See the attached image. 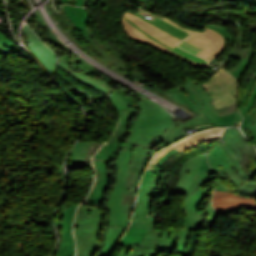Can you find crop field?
Wrapping results in <instances>:
<instances>
[{
    "label": "crop field",
    "mask_w": 256,
    "mask_h": 256,
    "mask_svg": "<svg viewBox=\"0 0 256 256\" xmlns=\"http://www.w3.org/2000/svg\"><path fill=\"white\" fill-rule=\"evenodd\" d=\"M120 146L121 143L108 142V146L104 145L95 155L96 161L93 162L96 170V184L87 201L83 204L99 206L109 181V163Z\"/></svg>",
    "instance_id": "8"
},
{
    "label": "crop field",
    "mask_w": 256,
    "mask_h": 256,
    "mask_svg": "<svg viewBox=\"0 0 256 256\" xmlns=\"http://www.w3.org/2000/svg\"><path fill=\"white\" fill-rule=\"evenodd\" d=\"M255 173H256V167L254 169H252Z\"/></svg>",
    "instance_id": "44"
},
{
    "label": "crop field",
    "mask_w": 256,
    "mask_h": 256,
    "mask_svg": "<svg viewBox=\"0 0 256 256\" xmlns=\"http://www.w3.org/2000/svg\"><path fill=\"white\" fill-rule=\"evenodd\" d=\"M116 85V84H115ZM118 86V85H117ZM119 87V86H118ZM120 88V87H119ZM126 92H128V91H126Z\"/></svg>",
    "instance_id": "46"
},
{
    "label": "crop field",
    "mask_w": 256,
    "mask_h": 256,
    "mask_svg": "<svg viewBox=\"0 0 256 256\" xmlns=\"http://www.w3.org/2000/svg\"><path fill=\"white\" fill-rule=\"evenodd\" d=\"M176 152H178V151L174 149V150L170 151L169 153H167L166 155H164V156L161 158V160L157 163V165H156V167L154 168L153 171H157L158 168H159V166L161 165V163L164 162L169 156H171L172 154H174V153H176Z\"/></svg>",
    "instance_id": "38"
},
{
    "label": "crop field",
    "mask_w": 256,
    "mask_h": 256,
    "mask_svg": "<svg viewBox=\"0 0 256 256\" xmlns=\"http://www.w3.org/2000/svg\"><path fill=\"white\" fill-rule=\"evenodd\" d=\"M178 46H180V47H182V48H184V49H186L190 52H193L195 54H197L201 50V48H199V47H197V46H195V45H193V44H191V43H189L185 40H183L181 43H179Z\"/></svg>",
    "instance_id": "35"
},
{
    "label": "crop field",
    "mask_w": 256,
    "mask_h": 256,
    "mask_svg": "<svg viewBox=\"0 0 256 256\" xmlns=\"http://www.w3.org/2000/svg\"><path fill=\"white\" fill-rule=\"evenodd\" d=\"M254 138H255V140H256V136H255Z\"/></svg>",
    "instance_id": "47"
},
{
    "label": "crop field",
    "mask_w": 256,
    "mask_h": 256,
    "mask_svg": "<svg viewBox=\"0 0 256 256\" xmlns=\"http://www.w3.org/2000/svg\"><path fill=\"white\" fill-rule=\"evenodd\" d=\"M132 2V1H131ZM135 3V2H134ZM138 4V3H137ZM140 5V4H139ZM142 6V5H141ZM144 7V6H143ZM146 8V7H145ZM148 9V8H147ZM151 10V9H150Z\"/></svg>",
    "instance_id": "45"
},
{
    "label": "crop field",
    "mask_w": 256,
    "mask_h": 256,
    "mask_svg": "<svg viewBox=\"0 0 256 256\" xmlns=\"http://www.w3.org/2000/svg\"><path fill=\"white\" fill-rule=\"evenodd\" d=\"M205 27L209 28V29H212L214 31H217L219 32L225 39V44L223 46V48L221 49V51L214 57L212 58L210 62H212L214 59H216L218 57V55L222 52V50L225 48V45L228 41L232 40L233 37L232 35L230 34V32L228 30H226L225 28L221 27V26H217V25H206Z\"/></svg>",
    "instance_id": "32"
},
{
    "label": "crop field",
    "mask_w": 256,
    "mask_h": 256,
    "mask_svg": "<svg viewBox=\"0 0 256 256\" xmlns=\"http://www.w3.org/2000/svg\"><path fill=\"white\" fill-rule=\"evenodd\" d=\"M204 214H208V228H211V226L213 225L218 213H216L211 205V201L209 203V205L207 206L206 210L204 211Z\"/></svg>",
    "instance_id": "33"
},
{
    "label": "crop field",
    "mask_w": 256,
    "mask_h": 256,
    "mask_svg": "<svg viewBox=\"0 0 256 256\" xmlns=\"http://www.w3.org/2000/svg\"><path fill=\"white\" fill-rule=\"evenodd\" d=\"M59 65L62 66L65 70H67L70 74L75 76L80 81L94 87L96 90H98L102 95H108L113 90L108 86V83L106 81H97L91 77L85 76L83 74H80L78 72L70 70L68 65L66 64V61L60 58Z\"/></svg>",
    "instance_id": "22"
},
{
    "label": "crop field",
    "mask_w": 256,
    "mask_h": 256,
    "mask_svg": "<svg viewBox=\"0 0 256 256\" xmlns=\"http://www.w3.org/2000/svg\"><path fill=\"white\" fill-rule=\"evenodd\" d=\"M100 145V142H92V144H91V146H90V148H89V150H88V152H87V155H86V157H85V160L87 161V160H89V157H92L91 156V153L94 151V149H96L95 147L96 146H99ZM100 147V146H99ZM84 166H88V167H90L89 165H88V162L87 163H84Z\"/></svg>",
    "instance_id": "37"
},
{
    "label": "crop field",
    "mask_w": 256,
    "mask_h": 256,
    "mask_svg": "<svg viewBox=\"0 0 256 256\" xmlns=\"http://www.w3.org/2000/svg\"><path fill=\"white\" fill-rule=\"evenodd\" d=\"M91 142H78L71 153V168L83 167L85 154Z\"/></svg>",
    "instance_id": "26"
},
{
    "label": "crop field",
    "mask_w": 256,
    "mask_h": 256,
    "mask_svg": "<svg viewBox=\"0 0 256 256\" xmlns=\"http://www.w3.org/2000/svg\"><path fill=\"white\" fill-rule=\"evenodd\" d=\"M77 5H83V0H76Z\"/></svg>",
    "instance_id": "42"
},
{
    "label": "crop field",
    "mask_w": 256,
    "mask_h": 256,
    "mask_svg": "<svg viewBox=\"0 0 256 256\" xmlns=\"http://www.w3.org/2000/svg\"><path fill=\"white\" fill-rule=\"evenodd\" d=\"M122 26H123L124 31L126 32V35H127L129 38H131V39H133V40H136V41L146 42V43H148V44H150V45H152V46H154V47H156V48H158V49H160V50L169 52V53H171V54H173V55H175V56H177V57H179V58H181V59H183V60H185V61H187V62H190V61L184 59L183 57H181V56H179V55H177V54H174V53H172V52L166 50L165 48L161 47V46L158 45L157 43L153 42L152 40H150L149 38H147L146 36H144L143 34H141L138 30H136L131 24H129V23H128L126 20H124L123 18H122ZM190 63H192V62H190ZM192 64H195V65L201 66V67H207V66H202V65H200V64H196V63H192Z\"/></svg>",
    "instance_id": "23"
},
{
    "label": "crop field",
    "mask_w": 256,
    "mask_h": 256,
    "mask_svg": "<svg viewBox=\"0 0 256 256\" xmlns=\"http://www.w3.org/2000/svg\"><path fill=\"white\" fill-rule=\"evenodd\" d=\"M90 54L93 55L94 57H96L97 59H99L100 61L104 62L108 66L120 71L123 74L125 72H127V66L125 63H123L124 61L122 62V59H119L118 57L114 56L113 54L106 55L104 53V56H105L104 58H99L98 55L93 52H91Z\"/></svg>",
    "instance_id": "29"
},
{
    "label": "crop field",
    "mask_w": 256,
    "mask_h": 256,
    "mask_svg": "<svg viewBox=\"0 0 256 256\" xmlns=\"http://www.w3.org/2000/svg\"><path fill=\"white\" fill-rule=\"evenodd\" d=\"M223 138L235 151L238 159H243L239 147L246 146V150L248 151L250 145L243 138L240 132L236 128H228L226 131H224Z\"/></svg>",
    "instance_id": "24"
},
{
    "label": "crop field",
    "mask_w": 256,
    "mask_h": 256,
    "mask_svg": "<svg viewBox=\"0 0 256 256\" xmlns=\"http://www.w3.org/2000/svg\"><path fill=\"white\" fill-rule=\"evenodd\" d=\"M161 94L169 95L172 99L176 100L178 103L191 108L192 110L196 111L200 115L183 123V124L180 122H174L170 126L168 131L162 137L157 136V138L153 142H151L149 145L125 141L124 145H123L124 149L132 151L135 144L142 145L145 147H150L158 142L165 141L192 126L201 125V124H210L207 121V119L204 117V115L201 113L200 109L193 103V101L191 99H189L181 91V89L179 87H175V88H173L165 93H161Z\"/></svg>",
    "instance_id": "7"
},
{
    "label": "crop field",
    "mask_w": 256,
    "mask_h": 256,
    "mask_svg": "<svg viewBox=\"0 0 256 256\" xmlns=\"http://www.w3.org/2000/svg\"><path fill=\"white\" fill-rule=\"evenodd\" d=\"M215 190L229 191L237 195L256 194V183L244 181L235 166L217 172Z\"/></svg>",
    "instance_id": "12"
},
{
    "label": "crop field",
    "mask_w": 256,
    "mask_h": 256,
    "mask_svg": "<svg viewBox=\"0 0 256 256\" xmlns=\"http://www.w3.org/2000/svg\"><path fill=\"white\" fill-rule=\"evenodd\" d=\"M0 42L11 52L14 53L16 50L20 49L15 46L7 37L0 33Z\"/></svg>",
    "instance_id": "34"
},
{
    "label": "crop field",
    "mask_w": 256,
    "mask_h": 256,
    "mask_svg": "<svg viewBox=\"0 0 256 256\" xmlns=\"http://www.w3.org/2000/svg\"><path fill=\"white\" fill-rule=\"evenodd\" d=\"M166 20L179 26V27H182L167 17H166ZM182 28H184V27H182ZM184 29H186V28H184ZM186 30L191 32V36L185 40L203 48L198 53V55L208 59V61L220 51V49L222 48V46L224 44V40H223L222 36L214 31L209 30V29L204 28L203 32L190 30V29H186Z\"/></svg>",
    "instance_id": "13"
},
{
    "label": "crop field",
    "mask_w": 256,
    "mask_h": 256,
    "mask_svg": "<svg viewBox=\"0 0 256 256\" xmlns=\"http://www.w3.org/2000/svg\"><path fill=\"white\" fill-rule=\"evenodd\" d=\"M242 1L256 5V0H242Z\"/></svg>",
    "instance_id": "41"
},
{
    "label": "crop field",
    "mask_w": 256,
    "mask_h": 256,
    "mask_svg": "<svg viewBox=\"0 0 256 256\" xmlns=\"http://www.w3.org/2000/svg\"><path fill=\"white\" fill-rule=\"evenodd\" d=\"M127 228V227H126ZM126 228L109 227L105 237V247L99 256H106L115 243L119 240Z\"/></svg>",
    "instance_id": "27"
},
{
    "label": "crop field",
    "mask_w": 256,
    "mask_h": 256,
    "mask_svg": "<svg viewBox=\"0 0 256 256\" xmlns=\"http://www.w3.org/2000/svg\"><path fill=\"white\" fill-rule=\"evenodd\" d=\"M210 93L214 101H212L215 109L237 102L236 80L230 76L224 67L214 74L209 82L201 83Z\"/></svg>",
    "instance_id": "9"
},
{
    "label": "crop field",
    "mask_w": 256,
    "mask_h": 256,
    "mask_svg": "<svg viewBox=\"0 0 256 256\" xmlns=\"http://www.w3.org/2000/svg\"><path fill=\"white\" fill-rule=\"evenodd\" d=\"M236 109H238L237 103L234 105L228 106V107L217 109V112H218L219 116H221V115L229 114V113L235 111Z\"/></svg>",
    "instance_id": "36"
},
{
    "label": "crop field",
    "mask_w": 256,
    "mask_h": 256,
    "mask_svg": "<svg viewBox=\"0 0 256 256\" xmlns=\"http://www.w3.org/2000/svg\"><path fill=\"white\" fill-rule=\"evenodd\" d=\"M123 18H125L128 22H130L136 29H138L141 33H143L144 35H146L147 37H149L150 39L154 40L155 42H157L158 44L162 45L163 47L183 56L184 58L192 61V62H197V63H201L203 65H207V61L201 59V58H198L178 47H175L174 49L169 47L168 45H166L165 43L157 40L156 38L152 37L151 35H149L148 33L144 32L143 30L139 29L136 25H134L125 15H123Z\"/></svg>",
    "instance_id": "25"
},
{
    "label": "crop field",
    "mask_w": 256,
    "mask_h": 256,
    "mask_svg": "<svg viewBox=\"0 0 256 256\" xmlns=\"http://www.w3.org/2000/svg\"><path fill=\"white\" fill-rule=\"evenodd\" d=\"M141 113L134 121L129 141L149 144L157 135L162 136L173 123L171 116L148 99L139 103Z\"/></svg>",
    "instance_id": "4"
},
{
    "label": "crop field",
    "mask_w": 256,
    "mask_h": 256,
    "mask_svg": "<svg viewBox=\"0 0 256 256\" xmlns=\"http://www.w3.org/2000/svg\"><path fill=\"white\" fill-rule=\"evenodd\" d=\"M213 206L219 213L233 208H248L256 210V200L237 196L229 192H214Z\"/></svg>",
    "instance_id": "17"
},
{
    "label": "crop field",
    "mask_w": 256,
    "mask_h": 256,
    "mask_svg": "<svg viewBox=\"0 0 256 256\" xmlns=\"http://www.w3.org/2000/svg\"><path fill=\"white\" fill-rule=\"evenodd\" d=\"M180 170L182 176L175 193L186 194L185 211H196V207L209 191V188L212 187L203 189L202 185L212 179L209 175L214 172L208 166L206 155L203 153L188 158Z\"/></svg>",
    "instance_id": "3"
},
{
    "label": "crop field",
    "mask_w": 256,
    "mask_h": 256,
    "mask_svg": "<svg viewBox=\"0 0 256 256\" xmlns=\"http://www.w3.org/2000/svg\"><path fill=\"white\" fill-rule=\"evenodd\" d=\"M61 3H69L70 4V0H62Z\"/></svg>",
    "instance_id": "43"
},
{
    "label": "crop field",
    "mask_w": 256,
    "mask_h": 256,
    "mask_svg": "<svg viewBox=\"0 0 256 256\" xmlns=\"http://www.w3.org/2000/svg\"><path fill=\"white\" fill-rule=\"evenodd\" d=\"M125 15L134 23L136 24L139 28L143 29L144 31L148 32L149 34H151L152 36L156 37L157 39L165 42L166 44L170 45L171 47H175L176 43L181 41L167 33H165L164 31L148 24L147 22L143 21L142 19L131 15L130 13H128L127 11H125Z\"/></svg>",
    "instance_id": "19"
},
{
    "label": "crop field",
    "mask_w": 256,
    "mask_h": 256,
    "mask_svg": "<svg viewBox=\"0 0 256 256\" xmlns=\"http://www.w3.org/2000/svg\"><path fill=\"white\" fill-rule=\"evenodd\" d=\"M255 98H256V73L249 84L247 93L241 104L242 107H241L240 113L244 118L247 116L248 111L251 108Z\"/></svg>",
    "instance_id": "28"
},
{
    "label": "crop field",
    "mask_w": 256,
    "mask_h": 256,
    "mask_svg": "<svg viewBox=\"0 0 256 256\" xmlns=\"http://www.w3.org/2000/svg\"><path fill=\"white\" fill-rule=\"evenodd\" d=\"M211 127L212 126H201L196 129L200 131ZM185 136H187V134L182 133L163 142L153 151L135 145L133 152L122 149L118 153L117 159L115 160V165L118 168L117 177L105 206L110 216L107 220L108 226H127L133 208L138 179L150 157L157 150Z\"/></svg>",
    "instance_id": "2"
},
{
    "label": "crop field",
    "mask_w": 256,
    "mask_h": 256,
    "mask_svg": "<svg viewBox=\"0 0 256 256\" xmlns=\"http://www.w3.org/2000/svg\"><path fill=\"white\" fill-rule=\"evenodd\" d=\"M58 16L59 18L57 20L54 17L55 20L65 30L71 39H75L72 36L73 34L70 33L72 30L71 27L76 26L84 34L85 38L90 44L97 45L100 43L88 27L89 14L84 7H71L65 4Z\"/></svg>",
    "instance_id": "10"
},
{
    "label": "crop field",
    "mask_w": 256,
    "mask_h": 256,
    "mask_svg": "<svg viewBox=\"0 0 256 256\" xmlns=\"http://www.w3.org/2000/svg\"><path fill=\"white\" fill-rule=\"evenodd\" d=\"M162 174L146 171L140 185L137 205L131 225L121 243L126 252L135 254L148 253L145 256H158L160 251L172 252L178 245L177 253L185 255L191 230H197L202 225L203 213L185 212V223L182 231L165 229V232L155 231V211L150 212V194Z\"/></svg>",
    "instance_id": "1"
},
{
    "label": "crop field",
    "mask_w": 256,
    "mask_h": 256,
    "mask_svg": "<svg viewBox=\"0 0 256 256\" xmlns=\"http://www.w3.org/2000/svg\"><path fill=\"white\" fill-rule=\"evenodd\" d=\"M225 128H221V129H212V130H208V131H203V132H199L193 136H190L188 138H185L181 141H179L178 143L161 150L160 152L157 153V155L153 158V160L151 161V163L148 166V170L152 171L153 168L155 167L156 163L160 160V158L167 153L168 151H170L173 148L178 149L179 151H183L186 150L190 147H193L201 142L207 141L209 139H214V138H219L222 135V132Z\"/></svg>",
    "instance_id": "15"
},
{
    "label": "crop field",
    "mask_w": 256,
    "mask_h": 256,
    "mask_svg": "<svg viewBox=\"0 0 256 256\" xmlns=\"http://www.w3.org/2000/svg\"><path fill=\"white\" fill-rule=\"evenodd\" d=\"M111 94L112 96L108 95L106 97L117 111L127 109V108L130 109V110L118 112L120 115V123L116 129V132H119L121 134L114 132L113 135L116 137H111L109 141L119 142L120 138L125 135V131L127 129L126 128L127 122L133 117L135 110H134L133 101L131 98L124 96L117 91H114Z\"/></svg>",
    "instance_id": "14"
},
{
    "label": "crop field",
    "mask_w": 256,
    "mask_h": 256,
    "mask_svg": "<svg viewBox=\"0 0 256 256\" xmlns=\"http://www.w3.org/2000/svg\"><path fill=\"white\" fill-rule=\"evenodd\" d=\"M77 204L66 202L56 216V226L60 233L61 243L55 256H73L74 241L71 223Z\"/></svg>",
    "instance_id": "11"
},
{
    "label": "crop field",
    "mask_w": 256,
    "mask_h": 256,
    "mask_svg": "<svg viewBox=\"0 0 256 256\" xmlns=\"http://www.w3.org/2000/svg\"><path fill=\"white\" fill-rule=\"evenodd\" d=\"M125 5L132 6L134 8L139 9L140 12H138L136 14V16L144 19L148 23L164 30L165 32H167V33H169V34H171V35H173V36H175V37H177L181 40L188 37V35H189L188 32H185V31L171 25L170 23L164 21L163 19L159 18L158 16L152 14L149 11H146V10H144V9L134 5V4H131L129 2H125Z\"/></svg>",
    "instance_id": "18"
},
{
    "label": "crop field",
    "mask_w": 256,
    "mask_h": 256,
    "mask_svg": "<svg viewBox=\"0 0 256 256\" xmlns=\"http://www.w3.org/2000/svg\"><path fill=\"white\" fill-rule=\"evenodd\" d=\"M144 255H145V254H144ZM144 255H130V254L124 253L123 250H122V252L119 254V256H144Z\"/></svg>",
    "instance_id": "40"
},
{
    "label": "crop field",
    "mask_w": 256,
    "mask_h": 256,
    "mask_svg": "<svg viewBox=\"0 0 256 256\" xmlns=\"http://www.w3.org/2000/svg\"><path fill=\"white\" fill-rule=\"evenodd\" d=\"M23 31L27 34L28 42L31 43L29 47L33 54L38 58L42 65L45 66L48 73L52 75L55 70L57 56L38 39L27 25H25Z\"/></svg>",
    "instance_id": "16"
},
{
    "label": "crop field",
    "mask_w": 256,
    "mask_h": 256,
    "mask_svg": "<svg viewBox=\"0 0 256 256\" xmlns=\"http://www.w3.org/2000/svg\"><path fill=\"white\" fill-rule=\"evenodd\" d=\"M250 128L253 136L256 135V109L253 108L251 113L244 119L241 129L244 130L246 128Z\"/></svg>",
    "instance_id": "31"
},
{
    "label": "crop field",
    "mask_w": 256,
    "mask_h": 256,
    "mask_svg": "<svg viewBox=\"0 0 256 256\" xmlns=\"http://www.w3.org/2000/svg\"><path fill=\"white\" fill-rule=\"evenodd\" d=\"M33 16L37 19L39 25L42 27V29L44 30L43 26H45V23L43 22L42 18L40 17V15H34ZM45 31V30H44ZM46 33V31H45ZM47 34V33H46ZM47 39L50 40V42L58 47H60L63 50H66L69 52V54H71L72 56V60H73V67L82 71H86L92 75L97 76V71H94L92 66L88 65L87 63H85L84 61H82L80 58H78L75 54H73L68 48H66L53 34L52 32L49 30V33L47 34ZM99 77V76H97Z\"/></svg>",
    "instance_id": "20"
},
{
    "label": "crop field",
    "mask_w": 256,
    "mask_h": 256,
    "mask_svg": "<svg viewBox=\"0 0 256 256\" xmlns=\"http://www.w3.org/2000/svg\"><path fill=\"white\" fill-rule=\"evenodd\" d=\"M208 161L215 172L233 166L230 158L218 143L210 150L208 154Z\"/></svg>",
    "instance_id": "21"
},
{
    "label": "crop field",
    "mask_w": 256,
    "mask_h": 256,
    "mask_svg": "<svg viewBox=\"0 0 256 256\" xmlns=\"http://www.w3.org/2000/svg\"><path fill=\"white\" fill-rule=\"evenodd\" d=\"M252 54H253V42H251V48H250V51H249L246 61L241 60V62L239 64H237L236 66H234L233 68H231L228 71L232 75H234L237 79H240V77L242 76V74L244 73V71L246 70V68L248 67V65L250 63Z\"/></svg>",
    "instance_id": "30"
},
{
    "label": "crop field",
    "mask_w": 256,
    "mask_h": 256,
    "mask_svg": "<svg viewBox=\"0 0 256 256\" xmlns=\"http://www.w3.org/2000/svg\"><path fill=\"white\" fill-rule=\"evenodd\" d=\"M186 84L179 86L185 94L190 97L194 103L202 110L205 117L213 125L226 126L234 125L236 121H241L242 117L238 111L226 116L219 117L212 103L213 99L200 84L192 81L189 77L181 74Z\"/></svg>",
    "instance_id": "6"
},
{
    "label": "crop field",
    "mask_w": 256,
    "mask_h": 256,
    "mask_svg": "<svg viewBox=\"0 0 256 256\" xmlns=\"http://www.w3.org/2000/svg\"><path fill=\"white\" fill-rule=\"evenodd\" d=\"M0 53H10L2 44H0Z\"/></svg>",
    "instance_id": "39"
},
{
    "label": "crop field",
    "mask_w": 256,
    "mask_h": 256,
    "mask_svg": "<svg viewBox=\"0 0 256 256\" xmlns=\"http://www.w3.org/2000/svg\"><path fill=\"white\" fill-rule=\"evenodd\" d=\"M99 207L81 205L78 208L75 234L77 237V256H92L98 249V236L103 229V212Z\"/></svg>",
    "instance_id": "5"
}]
</instances>
